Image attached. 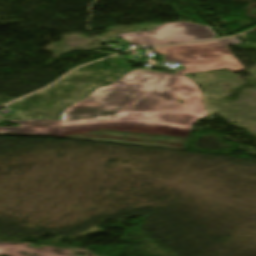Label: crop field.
I'll use <instances>...</instances> for the list:
<instances>
[{
  "mask_svg": "<svg viewBox=\"0 0 256 256\" xmlns=\"http://www.w3.org/2000/svg\"><path fill=\"white\" fill-rule=\"evenodd\" d=\"M85 99L104 107L63 110L62 121L142 118L192 125L208 114L199 87L178 71L170 75L135 69ZM179 99L185 104L176 102Z\"/></svg>",
  "mask_w": 256,
  "mask_h": 256,
  "instance_id": "8a807250",
  "label": "crop field"
},
{
  "mask_svg": "<svg viewBox=\"0 0 256 256\" xmlns=\"http://www.w3.org/2000/svg\"><path fill=\"white\" fill-rule=\"evenodd\" d=\"M81 106L102 107L103 105L100 103L92 102V101L82 100L69 108L81 107Z\"/></svg>",
  "mask_w": 256,
  "mask_h": 256,
  "instance_id": "dd49c442",
  "label": "crop field"
},
{
  "mask_svg": "<svg viewBox=\"0 0 256 256\" xmlns=\"http://www.w3.org/2000/svg\"><path fill=\"white\" fill-rule=\"evenodd\" d=\"M119 37L140 46L150 47L185 41L214 38L217 35L209 26L187 22L158 25L151 31L119 34Z\"/></svg>",
  "mask_w": 256,
  "mask_h": 256,
  "instance_id": "412701ff",
  "label": "crop field"
},
{
  "mask_svg": "<svg viewBox=\"0 0 256 256\" xmlns=\"http://www.w3.org/2000/svg\"><path fill=\"white\" fill-rule=\"evenodd\" d=\"M8 122H15L20 124L18 125V127H0V133H17L65 137V131L109 129L188 137L192 128L187 126H178L139 120L90 122L68 125H62L61 120H10Z\"/></svg>",
  "mask_w": 256,
  "mask_h": 256,
  "instance_id": "ac0d7876",
  "label": "crop field"
},
{
  "mask_svg": "<svg viewBox=\"0 0 256 256\" xmlns=\"http://www.w3.org/2000/svg\"><path fill=\"white\" fill-rule=\"evenodd\" d=\"M237 38L217 40L205 43L155 48L159 53L166 54L167 61H176L185 66L182 74L227 68L230 72L246 70L243 65L226 47L240 43Z\"/></svg>",
  "mask_w": 256,
  "mask_h": 256,
  "instance_id": "34b2d1b8",
  "label": "crop field"
},
{
  "mask_svg": "<svg viewBox=\"0 0 256 256\" xmlns=\"http://www.w3.org/2000/svg\"><path fill=\"white\" fill-rule=\"evenodd\" d=\"M139 120H141V119H139ZM109 121H111V120H109ZM147 121H149V120H147ZM155 122H157V121H155ZM75 123H79V122H75ZM163 123H165V122H163ZM63 124H68V123H63ZM170 124H173V123H170ZM178 125H180V124H178Z\"/></svg>",
  "mask_w": 256,
  "mask_h": 256,
  "instance_id": "e52e79f7",
  "label": "crop field"
},
{
  "mask_svg": "<svg viewBox=\"0 0 256 256\" xmlns=\"http://www.w3.org/2000/svg\"><path fill=\"white\" fill-rule=\"evenodd\" d=\"M66 137L184 150L188 138L109 130L66 132Z\"/></svg>",
  "mask_w": 256,
  "mask_h": 256,
  "instance_id": "f4fd0767",
  "label": "crop field"
}]
</instances>
